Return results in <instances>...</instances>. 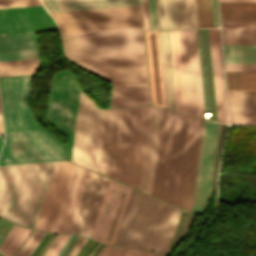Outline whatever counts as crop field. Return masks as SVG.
<instances>
[{"label": "crop field", "instance_id": "19", "mask_svg": "<svg viewBox=\"0 0 256 256\" xmlns=\"http://www.w3.org/2000/svg\"><path fill=\"white\" fill-rule=\"evenodd\" d=\"M163 109L151 106L140 186L139 189L151 194L161 119Z\"/></svg>", "mask_w": 256, "mask_h": 256}, {"label": "crop field", "instance_id": "35", "mask_svg": "<svg viewBox=\"0 0 256 256\" xmlns=\"http://www.w3.org/2000/svg\"><path fill=\"white\" fill-rule=\"evenodd\" d=\"M55 162L56 161H52V162L48 163V166H47V169H46V172H45V175H44V178H43V181H42V184H41V187H40V190H39V193H38V196H37V199H36V202H35V205H34V208H33V211H32V214H31V217H30L27 227H30V228L34 227L44 194L46 192V189H47V186H48V183H49V180H50V177H51L54 165H55Z\"/></svg>", "mask_w": 256, "mask_h": 256}, {"label": "crop field", "instance_id": "36", "mask_svg": "<svg viewBox=\"0 0 256 256\" xmlns=\"http://www.w3.org/2000/svg\"><path fill=\"white\" fill-rule=\"evenodd\" d=\"M198 28L212 27L209 0H195Z\"/></svg>", "mask_w": 256, "mask_h": 256}, {"label": "crop field", "instance_id": "62", "mask_svg": "<svg viewBox=\"0 0 256 256\" xmlns=\"http://www.w3.org/2000/svg\"><path fill=\"white\" fill-rule=\"evenodd\" d=\"M150 256H160V255H156V254H151Z\"/></svg>", "mask_w": 256, "mask_h": 256}, {"label": "crop field", "instance_id": "18", "mask_svg": "<svg viewBox=\"0 0 256 256\" xmlns=\"http://www.w3.org/2000/svg\"><path fill=\"white\" fill-rule=\"evenodd\" d=\"M150 106L135 107L125 183L138 189Z\"/></svg>", "mask_w": 256, "mask_h": 256}, {"label": "crop field", "instance_id": "17", "mask_svg": "<svg viewBox=\"0 0 256 256\" xmlns=\"http://www.w3.org/2000/svg\"><path fill=\"white\" fill-rule=\"evenodd\" d=\"M73 163L57 161L44 197L35 229L50 232L63 197Z\"/></svg>", "mask_w": 256, "mask_h": 256}, {"label": "crop field", "instance_id": "3", "mask_svg": "<svg viewBox=\"0 0 256 256\" xmlns=\"http://www.w3.org/2000/svg\"><path fill=\"white\" fill-rule=\"evenodd\" d=\"M49 12L140 4V0H42ZM56 23L140 16L139 6L51 13ZM60 33L142 26L141 17L57 24Z\"/></svg>", "mask_w": 256, "mask_h": 256}, {"label": "crop field", "instance_id": "56", "mask_svg": "<svg viewBox=\"0 0 256 256\" xmlns=\"http://www.w3.org/2000/svg\"><path fill=\"white\" fill-rule=\"evenodd\" d=\"M149 255H150L149 253L139 251V253L136 256H149Z\"/></svg>", "mask_w": 256, "mask_h": 256}, {"label": "crop field", "instance_id": "60", "mask_svg": "<svg viewBox=\"0 0 256 256\" xmlns=\"http://www.w3.org/2000/svg\"><path fill=\"white\" fill-rule=\"evenodd\" d=\"M2 144H3V141H2V139L0 138V149H1V147H2Z\"/></svg>", "mask_w": 256, "mask_h": 256}, {"label": "crop field", "instance_id": "1", "mask_svg": "<svg viewBox=\"0 0 256 256\" xmlns=\"http://www.w3.org/2000/svg\"><path fill=\"white\" fill-rule=\"evenodd\" d=\"M34 74L0 78L7 140L0 165L64 159L66 145L40 129L27 109L30 80Z\"/></svg>", "mask_w": 256, "mask_h": 256}, {"label": "crop field", "instance_id": "22", "mask_svg": "<svg viewBox=\"0 0 256 256\" xmlns=\"http://www.w3.org/2000/svg\"><path fill=\"white\" fill-rule=\"evenodd\" d=\"M152 104L165 108L157 31L145 32Z\"/></svg>", "mask_w": 256, "mask_h": 256}, {"label": "crop field", "instance_id": "63", "mask_svg": "<svg viewBox=\"0 0 256 256\" xmlns=\"http://www.w3.org/2000/svg\"><path fill=\"white\" fill-rule=\"evenodd\" d=\"M88 241H89V240H88ZM89 242H90V241H89ZM87 243H88V242H87ZM87 243H86V244H87ZM86 244H85V245H86ZM84 247H85V246H84ZM84 247H83V248H84ZM83 248H82V249H83ZM81 251H82V250H81ZM81 251H80V252H81ZM80 252H79V253H80ZM78 255H79V254H78ZM78 255H77V256H78Z\"/></svg>", "mask_w": 256, "mask_h": 256}, {"label": "crop field", "instance_id": "16", "mask_svg": "<svg viewBox=\"0 0 256 256\" xmlns=\"http://www.w3.org/2000/svg\"><path fill=\"white\" fill-rule=\"evenodd\" d=\"M57 29L42 5L0 9V34Z\"/></svg>", "mask_w": 256, "mask_h": 256}, {"label": "crop field", "instance_id": "43", "mask_svg": "<svg viewBox=\"0 0 256 256\" xmlns=\"http://www.w3.org/2000/svg\"><path fill=\"white\" fill-rule=\"evenodd\" d=\"M226 71H256V64H225Z\"/></svg>", "mask_w": 256, "mask_h": 256}, {"label": "crop field", "instance_id": "9", "mask_svg": "<svg viewBox=\"0 0 256 256\" xmlns=\"http://www.w3.org/2000/svg\"><path fill=\"white\" fill-rule=\"evenodd\" d=\"M113 87L148 84L145 53L69 59Z\"/></svg>", "mask_w": 256, "mask_h": 256}, {"label": "crop field", "instance_id": "10", "mask_svg": "<svg viewBox=\"0 0 256 256\" xmlns=\"http://www.w3.org/2000/svg\"><path fill=\"white\" fill-rule=\"evenodd\" d=\"M79 87L70 72L62 71L53 79L48 122L69 137L66 159L70 160Z\"/></svg>", "mask_w": 256, "mask_h": 256}, {"label": "crop field", "instance_id": "28", "mask_svg": "<svg viewBox=\"0 0 256 256\" xmlns=\"http://www.w3.org/2000/svg\"><path fill=\"white\" fill-rule=\"evenodd\" d=\"M158 29L177 28L174 0H155Z\"/></svg>", "mask_w": 256, "mask_h": 256}, {"label": "crop field", "instance_id": "44", "mask_svg": "<svg viewBox=\"0 0 256 256\" xmlns=\"http://www.w3.org/2000/svg\"><path fill=\"white\" fill-rule=\"evenodd\" d=\"M64 237L65 235H57L43 256H51Z\"/></svg>", "mask_w": 256, "mask_h": 256}, {"label": "crop field", "instance_id": "59", "mask_svg": "<svg viewBox=\"0 0 256 256\" xmlns=\"http://www.w3.org/2000/svg\"><path fill=\"white\" fill-rule=\"evenodd\" d=\"M0 134H2V135H3L2 122H1V114H0Z\"/></svg>", "mask_w": 256, "mask_h": 256}, {"label": "crop field", "instance_id": "54", "mask_svg": "<svg viewBox=\"0 0 256 256\" xmlns=\"http://www.w3.org/2000/svg\"><path fill=\"white\" fill-rule=\"evenodd\" d=\"M98 244H99V243L96 242V243L94 244V246L88 251V253H87L85 256H89V255L91 254V252L96 248V246H97Z\"/></svg>", "mask_w": 256, "mask_h": 256}, {"label": "crop field", "instance_id": "42", "mask_svg": "<svg viewBox=\"0 0 256 256\" xmlns=\"http://www.w3.org/2000/svg\"><path fill=\"white\" fill-rule=\"evenodd\" d=\"M42 4L40 0H0V8L13 7V6H25V5H37Z\"/></svg>", "mask_w": 256, "mask_h": 256}, {"label": "crop field", "instance_id": "49", "mask_svg": "<svg viewBox=\"0 0 256 256\" xmlns=\"http://www.w3.org/2000/svg\"><path fill=\"white\" fill-rule=\"evenodd\" d=\"M146 12H147L148 30H151L148 0H146Z\"/></svg>", "mask_w": 256, "mask_h": 256}, {"label": "crop field", "instance_id": "23", "mask_svg": "<svg viewBox=\"0 0 256 256\" xmlns=\"http://www.w3.org/2000/svg\"><path fill=\"white\" fill-rule=\"evenodd\" d=\"M166 108L176 110L169 31H158Z\"/></svg>", "mask_w": 256, "mask_h": 256}, {"label": "crop field", "instance_id": "45", "mask_svg": "<svg viewBox=\"0 0 256 256\" xmlns=\"http://www.w3.org/2000/svg\"><path fill=\"white\" fill-rule=\"evenodd\" d=\"M150 11H151L152 30H155V29H157V25H156V15H155L154 0H150Z\"/></svg>", "mask_w": 256, "mask_h": 256}, {"label": "crop field", "instance_id": "40", "mask_svg": "<svg viewBox=\"0 0 256 256\" xmlns=\"http://www.w3.org/2000/svg\"><path fill=\"white\" fill-rule=\"evenodd\" d=\"M31 58H38L36 49L0 53V61Z\"/></svg>", "mask_w": 256, "mask_h": 256}, {"label": "crop field", "instance_id": "27", "mask_svg": "<svg viewBox=\"0 0 256 256\" xmlns=\"http://www.w3.org/2000/svg\"><path fill=\"white\" fill-rule=\"evenodd\" d=\"M225 63H256V45H223Z\"/></svg>", "mask_w": 256, "mask_h": 256}, {"label": "crop field", "instance_id": "26", "mask_svg": "<svg viewBox=\"0 0 256 256\" xmlns=\"http://www.w3.org/2000/svg\"><path fill=\"white\" fill-rule=\"evenodd\" d=\"M150 104L148 85L112 88L111 108Z\"/></svg>", "mask_w": 256, "mask_h": 256}, {"label": "crop field", "instance_id": "46", "mask_svg": "<svg viewBox=\"0 0 256 256\" xmlns=\"http://www.w3.org/2000/svg\"><path fill=\"white\" fill-rule=\"evenodd\" d=\"M127 252V249L117 248L114 247V249L111 251L109 256H124V254Z\"/></svg>", "mask_w": 256, "mask_h": 256}, {"label": "crop field", "instance_id": "14", "mask_svg": "<svg viewBox=\"0 0 256 256\" xmlns=\"http://www.w3.org/2000/svg\"><path fill=\"white\" fill-rule=\"evenodd\" d=\"M108 180L88 171L68 233L90 237Z\"/></svg>", "mask_w": 256, "mask_h": 256}, {"label": "crop field", "instance_id": "6", "mask_svg": "<svg viewBox=\"0 0 256 256\" xmlns=\"http://www.w3.org/2000/svg\"><path fill=\"white\" fill-rule=\"evenodd\" d=\"M185 118V114L164 109L152 194L173 204Z\"/></svg>", "mask_w": 256, "mask_h": 256}, {"label": "crop field", "instance_id": "11", "mask_svg": "<svg viewBox=\"0 0 256 256\" xmlns=\"http://www.w3.org/2000/svg\"><path fill=\"white\" fill-rule=\"evenodd\" d=\"M203 119L186 118L175 204L190 211Z\"/></svg>", "mask_w": 256, "mask_h": 256}, {"label": "crop field", "instance_id": "21", "mask_svg": "<svg viewBox=\"0 0 256 256\" xmlns=\"http://www.w3.org/2000/svg\"><path fill=\"white\" fill-rule=\"evenodd\" d=\"M218 121L228 124L224 76L218 28L208 29Z\"/></svg>", "mask_w": 256, "mask_h": 256}, {"label": "crop field", "instance_id": "24", "mask_svg": "<svg viewBox=\"0 0 256 256\" xmlns=\"http://www.w3.org/2000/svg\"><path fill=\"white\" fill-rule=\"evenodd\" d=\"M178 111L187 113V99L180 30L170 31Z\"/></svg>", "mask_w": 256, "mask_h": 256}, {"label": "crop field", "instance_id": "53", "mask_svg": "<svg viewBox=\"0 0 256 256\" xmlns=\"http://www.w3.org/2000/svg\"><path fill=\"white\" fill-rule=\"evenodd\" d=\"M221 127V124H220ZM219 135H220V128H219ZM218 142H219V136H218ZM217 149H218V144H217ZM216 157H217V152H216ZM215 164H216V160H215ZM214 172H215V168H214ZM213 179H214V175H213ZM212 186H213V180H212ZM211 194H212V187H211ZM211 198V195H210Z\"/></svg>", "mask_w": 256, "mask_h": 256}, {"label": "crop field", "instance_id": "2", "mask_svg": "<svg viewBox=\"0 0 256 256\" xmlns=\"http://www.w3.org/2000/svg\"><path fill=\"white\" fill-rule=\"evenodd\" d=\"M181 211L133 189L113 245L166 254Z\"/></svg>", "mask_w": 256, "mask_h": 256}, {"label": "crop field", "instance_id": "48", "mask_svg": "<svg viewBox=\"0 0 256 256\" xmlns=\"http://www.w3.org/2000/svg\"><path fill=\"white\" fill-rule=\"evenodd\" d=\"M69 237H70V235H66V237L63 239V241L61 242V244L59 245V247L56 249V251L54 252V254L52 256H56L58 254V252L63 247V245L65 244V242L67 241V239Z\"/></svg>", "mask_w": 256, "mask_h": 256}, {"label": "crop field", "instance_id": "32", "mask_svg": "<svg viewBox=\"0 0 256 256\" xmlns=\"http://www.w3.org/2000/svg\"><path fill=\"white\" fill-rule=\"evenodd\" d=\"M228 90H256V72H226Z\"/></svg>", "mask_w": 256, "mask_h": 256}, {"label": "crop field", "instance_id": "15", "mask_svg": "<svg viewBox=\"0 0 256 256\" xmlns=\"http://www.w3.org/2000/svg\"><path fill=\"white\" fill-rule=\"evenodd\" d=\"M189 114L203 117L196 29L181 30Z\"/></svg>", "mask_w": 256, "mask_h": 256}, {"label": "crop field", "instance_id": "57", "mask_svg": "<svg viewBox=\"0 0 256 256\" xmlns=\"http://www.w3.org/2000/svg\"><path fill=\"white\" fill-rule=\"evenodd\" d=\"M48 235H49V234H48ZM48 235H47V237H48ZM51 236H52V234H51ZM51 236L48 238V240L51 238ZM47 237H46V238H47ZM46 238H45V239H46ZM45 239H44V240H45ZM44 240H43V241H44ZM48 240L46 241V243L48 242ZM42 243H43V242H42ZM42 243H41V244H42ZM46 243H45V244H46ZM41 244H40V246H41ZM45 244L43 245V247L45 246ZM40 246H39V247H40ZM43 247H42V248H43ZM42 248H41V250H42ZM38 249H39V248H38ZM38 249H37V250H38ZM41 250H40V251H41ZM40 251L38 252V254L40 253ZM38 254H37L36 256H38Z\"/></svg>", "mask_w": 256, "mask_h": 256}, {"label": "crop field", "instance_id": "8", "mask_svg": "<svg viewBox=\"0 0 256 256\" xmlns=\"http://www.w3.org/2000/svg\"><path fill=\"white\" fill-rule=\"evenodd\" d=\"M106 110L80 93L71 161L97 172Z\"/></svg>", "mask_w": 256, "mask_h": 256}, {"label": "crop field", "instance_id": "58", "mask_svg": "<svg viewBox=\"0 0 256 256\" xmlns=\"http://www.w3.org/2000/svg\"><path fill=\"white\" fill-rule=\"evenodd\" d=\"M219 1H256V0H219Z\"/></svg>", "mask_w": 256, "mask_h": 256}, {"label": "crop field", "instance_id": "29", "mask_svg": "<svg viewBox=\"0 0 256 256\" xmlns=\"http://www.w3.org/2000/svg\"><path fill=\"white\" fill-rule=\"evenodd\" d=\"M36 48L33 33L0 36V52Z\"/></svg>", "mask_w": 256, "mask_h": 256}, {"label": "crop field", "instance_id": "7", "mask_svg": "<svg viewBox=\"0 0 256 256\" xmlns=\"http://www.w3.org/2000/svg\"><path fill=\"white\" fill-rule=\"evenodd\" d=\"M134 107L108 109L98 172L124 183Z\"/></svg>", "mask_w": 256, "mask_h": 256}, {"label": "crop field", "instance_id": "34", "mask_svg": "<svg viewBox=\"0 0 256 256\" xmlns=\"http://www.w3.org/2000/svg\"><path fill=\"white\" fill-rule=\"evenodd\" d=\"M30 230L13 225L10 232L2 242L0 251L6 256H13Z\"/></svg>", "mask_w": 256, "mask_h": 256}, {"label": "crop field", "instance_id": "25", "mask_svg": "<svg viewBox=\"0 0 256 256\" xmlns=\"http://www.w3.org/2000/svg\"><path fill=\"white\" fill-rule=\"evenodd\" d=\"M221 23H256V2H219Z\"/></svg>", "mask_w": 256, "mask_h": 256}, {"label": "crop field", "instance_id": "52", "mask_svg": "<svg viewBox=\"0 0 256 256\" xmlns=\"http://www.w3.org/2000/svg\"><path fill=\"white\" fill-rule=\"evenodd\" d=\"M143 3V13H144V23H145V29L147 30V25H146V15H145V4H144V0H142Z\"/></svg>", "mask_w": 256, "mask_h": 256}, {"label": "crop field", "instance_id": "50", "mask_svg": "<svg viewBox=\"0 0 256 256\" xmlns=\"http://www.w3.org/2000/svg\"><path fill=\"white\" fill-rule=\"evenodd\" d=\"M74 238L73 235H71V237L69 238V240L66 242V244L64 245V247L62 248V250L59 252V254L57 256H61V254L64 252V250L66 249V247L69 245V243L71 242V240Z\"/></svg>", "mask_w": 256, "mask_h": 256}, {"label": "crop field", "instance_id": "41", "mask_svg": "<svg viewBox=\"0 0 256 256\" xmlns=\"http://www.w3.org/2000/svg\"><path fill=\"white\" fill-rule=\"evenodd\" d=\"M223 44H256V36H222Z\"/></svg>", "mask_w": 256, "mask_h": 256}, {"label": "crop field", "instance_id": "47", "mask_svg": "<svg viewBox=\"0 0 256 256\" xmlns=\"http://www.w3.org/2000/svg\"><path fill=\"white\" fill-rule=\"evenodd\" d=\"M113 249L112 246L105 245L103 249L98 253L97 256H108L110 251Z\"/></svg>", "mask_w": 256, "mask_h": 256}, {"label": "crop field", "instance_id": "30", "mask_svg": "<svg viewBox=\"0 0 256 256\" xmlns=\"http://www.w3.org/2000/svg\"><path fill=\"white\" fill-rule=\"evenodd\" d=\"M38 59L0 62V77L35 73Z\"/></svg>", "mask_w": 256, "mask_h": 256}, {"label": "crop field", "instance_id": "12", "mask_svg": "<svg viewBox=\"0 0 256 256\" xmlns=\"http://www.w3.org/2000/svg\"><path fill=\"white\" fill-rule=\"evenodd\" d=\"M131 188L109 180L91 239L113 244Z\"/></svg>", "mask_w": 256, "mask_h": 256}, {"label": "crop field", "instance_id": "55", "mask_svg": "<svg viewBox=\"0 0 256 256\" xmlns=\"http://www.w3.org/2000/svg\"><path fill=\"white\" fill-rule=\"evenodd\" d=\"M103 246H104V245L101 244V245L97 248V250L92 254V256H96L97 253L102 249Z\"/></svg>", "mask_w": 256, "mask_h": 256}, {"label": "crop field", "instance_id": "4", "mask_svg": "<svg viewBox=\"0 0 256 256\" xmlns=\"http://www.w3.org/2000/svg\"><path fill=\"white\" fill-rule=\"evenodd\" d=\"M47 163L0 166V217L27 226Z\"/></svg>", "mask_w": 256, "mask_h": 256}, {"label": "crop field", "instance_id": "37", "mask_svg": "<svg viewBox=\"0 0 256 256\" xmlns=\"http://www.w3.org/2000/svg\"><path fill=\"white\" fill-rule=\"evenodd\" d=\"M222 35H256V24H221Z\"/></svg>", "mask_w": 256, "mask_h": 256}, {"label": "crop field", "instance_id": "31", "mask_svg": "<svg viewBox=\"0 0 256 256\" xmlns=\"http://www.w3.org/2000/svg\"><path fill=\"white\" fill-rule=\"evenodd\" d=\"M178 28H197L194 0H175Z\"/></svg>", "mask_w": 256, "mask_h": 256}, {"label": "crop field", "instance_id": "65", "mask_svg": "<svg viewBox=\"0 0 256 256\" xmlns=\"http://www.w3.org/2000/svg\"><path fill=\"white\" fill-rule=\"evenodd\" d=\"M99 246V245H98Z\"/></svg>", "mask_w": 256, "mask_h": 256}, {"label": "crop field", "instance_id": "64", "mask_svg": "<svg viewBox=\"0 0 256 256\" xmlns=\"http://www.w3.org/2000/svg\"><path fill=\"white\" fill-rule=\"evenodd\" d=\"M1 256H3V255L1 254Z\"/></svg>", "mask_w": 256, "mask_h": 256}, {"label": "crop field", "instance_id": "20", "mask_svg": "<svg viewBox=\"0 0 256 256\" xmlns=\"http://www.w3.org/2000/svg\"><path fill=\"white\" fill-rule=\"evenodd\" d=\"M87 169L74 165L64 197L62 199L56 220L54 222L53 233H66L71 217L73 215L82 185L84 183Z\"/></svg>", "mask_w": 256, "mask_h": 256}, {"label": "crop field", "instance_id": "61", "mask_svg": "<svg viewBox=\"0 0 256 256\" xmlns=\"http://www.w3.org/2000/svg\"><path fill=\"white\" fill-rule=\"evenodd\" d=\"M94 243H95V241L92 243V245H93ZM92 245L88 248V250L92 247ZM88 250H87V251H88ZM87 251H86V252H87ZM86 252H85V254H86ZM85 254H84V255H85ZM84 255H83V256H84Z\"/></svg>", "mask_w": 256, "mask_h": 256}, {"label": "crop field", "instance_id": "51", "mask_svg": "<svg viewBox=\"0 0 256 256\" xmlns=\"http://www.w3.org/2000/svg\"><path fill=\"white\" fill-rule=\"evenodd\" d=\"M138 253V251L134 250H128L125 256H135Z\"/></svg>", "mask_w": 256, "mask_h": 256}, {"label": "crop field", "instance_id": "13", "mask_svg": "<svg viewBox=\"0 0 256 256\" xmlns=\"http://www.w3.org/2000/svg\"><path fill=\"white\" fill-rule=\"evenodd\" d=\"M219 124L204 119L191 211L203 213L210 195Z\"/></svg>", "mask_w": 256, "mask_h": 256}, {"label": "crop field", "instance_id": "5", "mask_svg": "<svg viewBox=\"0 0 256 256\" xmlns=\"http://www.w3.org/2000/svg\"><path fill=\"white\" fill-rule=\"evenodd\" d=\"M60 36L66 58L145 52L142 27Z\"/></svg>", "mask_w": 256, "mask_h": 256}, {"label": "crop field", "instance_id": "38", "mask_svg": "<svg viewBox=\"0 0 256 256\" xmlns=\"http://www.w3.org/2000/svg\"><path fill=\"white\" fill-rule=\"evenodd\" d=\"M232 124H256V111H230Z\"/></svg>", "mask_w": 256, "mask_h": 256}, {"label": "crop field", "instance_id": "39", "mask_svg": "<svg viewBox=\"0 0 256 256\" xmlns=\"http://www.w3.org/2000/svg\"><path fill=\"white\" fill-rule=\"evenodd\" d=\"M35 231H33V233L28 238V240L26 241L24 246L21 248V250L19 251L17 256H30L32 254L34 249L37 247V245L39 244V242L42 240V238L45 235V234H43L44 232L39 233L40 231L39 232H35Z\"/></svg>", "mask_w": 256, "mask_h": 256}, {"label": "crop field", "instance_id": "33", "mask_svg": "<svg viewBox=\"0 0 256 256\" xmlns=\"http://www.w3.org/2000/svg\"><path fill=\"white\" fill-rule=\"evenodd\" d=\"M230 110H256V91H228Z\"/></svg>", "mask_w": 256, "mask_h": 256}]
</instances>
